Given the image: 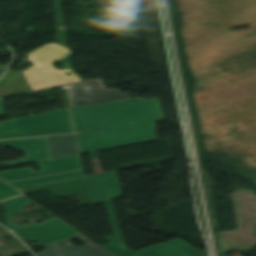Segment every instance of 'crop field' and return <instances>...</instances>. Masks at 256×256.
<instances>
[{"label": "crop field", "mask_w": 256, "mask_h": 256, "mask_svg": "<svg viewBox=\"0 0 256 256\" xmlns=\"http://www.w3.org/2000/svg\"><path fill=\"white\" fill-rule=\"evenodd\" d=\"M103 238L110 243L101 246L114 256H206L179 238L144 248L135 253L109 235Z\"/></svg>", "instance_id": "7"}, {"label": "crop field", "mask_w": 256, "mask_h": 256, "mask_svg": "<svg viewBox=\"0 0 256 256\" xmlns=\"http://www.w3.org/2000/svg\"><path fill=\"white\" fill-rule=\"evenodd\" d=\"M70 107L112 102L130 98L118 89H104L101 78L65 85Z\"/></svg>", "instance_id": "6"}, {"label": "crop field", "mask_w": 256, "mask_h": 256, "mask_svg": "<svg viewBox=\"0 0 256 256\" xmlns=\"http://www.w3.org/2000/svg\"><path fill=\"white\" fill-rule=\"evenodd\" d=\"M28 234H38V233H36L35 231L31 230L30 232H28Z\"/></svg>", "instance_id": "18"}, {"label": "crop field", "mask_w": 256, "mask_h": 256, "mask_svg": "<svg viewBox=\"0 0 256 256\" xmlns=\"http://www.w3.org/2000/svg\"><path fill=\"white\" fill-rule=\"evenodd\" d=\"M37 256H63L55 244L45 247L43 253H37Z\"/></svg>", "instance_id": "15"}, {"label": "crop field", "mask_w": 256, "mask_h": 256, "mask_svg": "<svg viewBox=\"0 0 256 256\" xmlns=\"http://www.w3.org/2000/svg\"><path fill=\"white\" fill-rule=\"evenodd\" d=\"M136 122H128L127 124L128 125H132V124H135Z\"/></svg>", "instance_id": "19"}, {"label": "crop field", "mask_w": 256, "mask_h": 256, "mask_svg": "<svg viewBox=\"0 0 256 256\" xmlns=\"http://www.w3.org/2000/svg\"><path fill=\"white\" fill-rule=\"evenodd\" d=\"M31 200L26 197L25 195L16 197L9 201L3 202L7 213V223L12 229L11 231L16 234L20 239L25 240H32L39 243L41 246L50 245L55 243L56 241L63 240L67 237L77 235L79 232L75 231L74 229L70 228L61 220L54 218L52 220H47L44 222L43 225L33 226L27 225L16 229L15 223L12 219V216L18 213L23 212L22 208L28 204ZM32 228L33 230L37 231L38 235H28L26 232Z\"/></svg>", "instance_id": "5"}, {"label": "crop field", "mask_w": 256, "mask_h": 256, "mask_svg": "<svg viewBox=\"0 0 256 256\" xmlns=\"http://www.w3.org/2000/svg\"><path fill=\"white\" fill-rule=\"evenodd\" d=\"M6 68V66H0V76L3 73L4 69Z\"/></svg>", "instance_id": "17"}, {"label": "crop field", "mask_w": 256, "mask_h": 256, "mask_svg": "<svg viewBox=\"0 0 256 256\" xmlns=\"http://www.w3.org/2000/svg\"><path fill=\"white\" fill-rule=\"evenodd\" d=\"M92 204L121 197L118 173H106L86 177Z\"/></svg>", "instance_id": "8"}, {"label": "crop field", "mask_w": 256, "mask_h": 256, "mask_svg": "<svg viewBox=\"0 0 256 256\" xmlns=\"http://www.w3.org/2000/svg\"><path fill=\"white\" fill-rule=\"evenodd\" d=\"M71 110L81 153L155 140V122L163 121L157 99L135 97ZM127 121L137 123L127 126Z\"/></svg>", "instance_id": "1"}, {"label": "crop field", "mask_w": 256, "mask_h": 256, "mask_svg": "<svg viewBox=\"0 0 256 256\" xmlns=\"http://www.w3.org/2000/svg\"><path fill=\"white\" fill-rule=\"evenodd\" d=\"M31 91L22 72L8 70L0 80V97Z\"/></svg>", "instance_id": "13"}, {"label": "crop field", "mask_w": 256, "mask_h": 256, "mask_svg": "<svg viewBox=\"0 0 256 256\" xmlns=\"http://www.w3.org/2000/svg\"><path fill=\"white\" fill-rule=\"evenodd\" d=\"M60 133H73L67 109L0 123V139Z\"/></svg>", "instance_id": "4"}, {"label": "crop field", "mask_w": 256, "mask_h": 256, "mask_svg": "<svg viewBox=\"0 0 256 256\" xmlns=\"http://www.w3.org/2000/svg\"><path fill=\"white\" fill-rule=\"evenodd\" d=\"M42 171L37 173L31 168L0 173V178L15 188L65 180L83 175L79 156L43 161L39 163Z\"/></svg>", "instance_id": "3"}, {"label": "crop field", "mask_w": 256, "mask_h": 256, "mask_svg": "<svg viewBox=\"0 0 256 256\" xmlns=\"http://www.w3.org/2000/svg\"><path fill=\"white\" fill-rule=\"evenodd\" d=\"M69 54L68 48L56 43L46 44L27 54L29 57L25 60L35 64L23 71L32 91L81 81L71 69L55 70L52 65ZM65 72L70 76H66Z\"/></svg>", "instance_id": "2"}, {"label": "crop field", "mask_w": 256, "mask_h": 256, "mask_svg": "<svg viewBox=\"0 0 256 256\" xmlns=\"http://www.w3.org/2000/svg\"><path fill=\"white\" fill-rule=\"evenodd\" d=\"M46 189L57 197L77 196L81 206L89 204V198L84 178L66 180L46 185L22 188L25 193ZM22 191V192H23Z\"/></svg>", "instance_id": "9"}, {"label": "crop field", "mask_w": 256, "mask_h": 256, "mask_svg": "<svg viewBox=\"0 0 256 256\" xmlns=\"http://www.w3.org/2000/svg\"><path fill=\"white\" fill-rule=\"evenodd\" d=\"M4 115V109H3V105H2V101L0 99V116Z\"/></svg>", "instance_id": "16"}, {"label": "crop field", "mask_w": 256, "mask_h": 256, "mask_svg": "<svg viewBox=\"0 0 256 256\" xmlns=\"http://www.w3.org/2000/svg\"><path fill=\"white\" fill-rule=\"evenodd\" d=\"M19 194V191L0 179V201Z\"/></svg>", "instance_id": "14"}, {"label": "crop field", "mask_w": 256, "mask_h": 256, "mask_svg": "<svg viewBox=\"0 0 256 256\" xmlns=\"http://www.w3.org/2000/svg\"><path fill=\"white\" fill-rule=\"evenodd\" d=\"M75 238H78L86 246L74 247L70 241ZM75 238L58 243L66 256H112L110 253H108L102 247L96 245L84 235Z\"/></svg>", "instance_id": "11"}, {"label": "crop field", "mask_w": 256, "mask_h": 256, "mask_svg": "<svg viewBox=\"0 0 256 256\" xmlns=\"http://www.w3.org/2000/svg\"><path fill=\"white\" fill-rule=\"evenodd\" d=\"M0 145H10L17 147L20 151H26L27 156L22 160L24 164L51 159L46 137L2 141Z\"/></svg>", "instance_id": "10"}, {"label": "crop field", "mask_w": 256, "mask_h": 256, "mask_svg": "<svg viewBox=\"0 0 256 256\" xmlns=\"http://www.w3.org/2000/svg\"><path fill=\"white\" fill-rule=\"evenodd\" d=\"M52 159L78 153L74 135L47 137Z\"/></svg>", "instance_id": "12"}]
</instances>
